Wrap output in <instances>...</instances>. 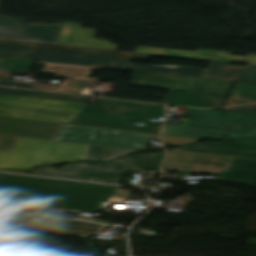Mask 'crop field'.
I'll return each instance as SVG.
<instances>
[{
    "instance_id": "8a807250",
    "label": "crop field",
    "mask_w": 256,
    "mask_h": 256,
    "mask_svg": "<svg viewBox=\"0 0 256 256\" xmlns=\"http://www.w3.org/2000/svg\"><path fill=\"white\" fill-rule=\"evenodd\" d=\"M152 56L174 57L154 54L131 53L93 48L51 45L24 41L0 39V57L42 60L92 66H104L107 61H119L130 64L131 60H151ZM210 62L211 60L174 57ZM120 69L155 72L161 74L183 75L203 78L207 69H198L177 65H129Z\"/></svg>"
},
{
    "instance_id": "ac0d7876",
    "label": "crop field",
    "mask_w": 256,
    "mask_h": 256,
    "mask_svg": "<svg viewBox=\"0 0 256 256\" xmlns=\"http://www.w3.org/2000/svg\"><path fill=\"white\" fill-rule=\"evenodd\" d=\"M114 187L1 174L0 193L7 201L98 212Z\"/></svg>"
},
{
    "instance_id": "34b2d1b8",
    "label": "crop field",
    "mask_w": 256,
    "mask_h": 256,
    "mask_svg": "<svg viewBox=\"0 0 256 256\" xmlns=\"http://www.w3.org/2000/svg\"><path fill=\"white\" fill-rule=\"evenodd\" d=\"M164 115V108L151 104L100 99L98 105L87 104L70 124L105 127L159 135L161 127L130 125Z\"/></svg>"
},
{
    "instance_id": "412701ff",
    "label": "crop field",
    "mask_w": 256,
    "mask_h": 256,
    "mask_svg": "<svg viewBox=\"0 0 256 256\" xmlns=\"http://www.w3.org/2000/svg\"><path fill=\"white\" fill-rule=\"evenodd\" d=\"M164 168L218 174L222 182L256 187V160L168 150Z\"/></svg>"
},
{
    "instance_id": "f4fd0767",
    "label": "crop field",
    "mask_w": 256,
    "mask_h": 256,
    "mask_svg": "<svg viewBox=\"0 0 256 256\" xmlns=\"http://www.w3.org/2000/svg\"><path fill=\"white\" fill-rule=\"evenodd\" d=\"M87 146L19 137L11 153L0 152V168L30 170L35 165L84 161Z\"/></svg>"
},
{
    "instance_id": "dd49c442",
    "label": "crop field",
    "mask_w": 256,
    "mask_h": 256,
    "mask_svg": "<svg viewBox=\"0 0 256 256\" xmlns=\"http://www.w3.org/2000/svg\"><path fill=\"white\" fill-rule=\"evenodd\" d=\"M164 155V151L153 154H141L124 158L119 163L110 164L80 162L68 164L61 169L51 166L37 167L29 174L118 184L122 171L137 170L135 169L136 167L140 171L158 169Z\"/></svg>"
},
{
    "instance_id": "e52e79f7",
    "label": "crop field",
    "mask_w": 256,
    "mask_h": 256,
    "mask_svg": "<svg viewBox=\"0 0 256 256\" xmlns=\"http://www.w3.org/2000/svg\"><path fill=\"white\" fill-rule=\"evenodd\" d=\"M86 104L0 94V115L69 124Z\"/></svg>"
},
{
    "instance_id": "d8731c3e",
    "label": "crop field",
    "mask_w": 256,
    "mask_h": 256,
    "mask_svg": "<svg viewBox=\"0 0 256 256\" xmlns=\"http://www.w3.org/2000/svg\"><path fill=\"white\" fill-rule=\"evenodd\" d=\"M150 137L149 134L64 124L55 140L147 151Z\"/></svg>"
},
{
    "instance_id": "5a996713",
    "label": "crop field",
    "mask_w": 256,
    "mask_h": 256,
    "mask_svg": "<svg viewBox=\"0 0 256 256\" xmlns=\"http://www.w3.org/2000/svg\"><path fill=\"white\" fill-rule=\"evenodd\" d=\"M232 83L134 71L129 85L226 96Z\"/></svg>"
},
{
    "instance_id": "3316defc",
    "label": "crop field",
    "mask_w": 256,
    "mask_h": 256,
    "mask_svg": "<svg viewBox=\"0 0 256 256\" xmlns=\"http://www.w3.org/2000/svg\"><path fill=\"white\" fill-rule=\"evenodd\" d=\"M190 114V119H180V126L165 124L163 135L218 140L225 138L227 129L222 111L190 108Z\"/></svg>"
},
{
    "instance_id": "28ad6ade",
    "label": "crop field",
    "mask_w": 256,
    "mask_h": 256,
    "mask_svg": "<svg viewBox=\"0 0 256 256\" xmlns=\"http://www.w3.org/2000/svg\"><path fill=\"white\" fill-rule=\"evenodd\" d=\"M63 124L0 116V151L11 152L19 136L54 140Z\"/></svg>"
},
{
    "instance_id": "d1516ede",
    "label": "crop field",
    "mask_w": 256,
    "mask_h": 256,
    "mask_svg": "<svg viewBox=\"0 0 256 256\" xmlns=\"http://www.w3.org/2000/svg\"><path fill=\"white\" fill-rule=\"evenodd\" d=\"M0 226L42 232L53 230L70 233L71 235L85 236L99 231L102 225L18 213L16 217L0 219Z\"/></svg>"
},
{
    "instance_id": "22f410ed",
    "label": "crop field",
    "mask_w": 256,
    "mask_h": 256,
    "mask_svg": "<svg viewBox=\"0 0 256 256\" xmlns=\"http://www.w3.org/2000/svg\"><path fill=\"white\" fill-rule=\"evenodd\" d=\"M25 19L0 16V38L56 44L62 25H25Z\"/></svg>"
},
{
    "instance_id": "cbeb9de0",
    "label": "crop field",
    "mask_w": 256,
    "mask_h": 256,
    "mask_svg": "<svg viewBox=\"0 0 256 256\" xmlns=\"http://www.w3.org/2000/svg\"><path fill=\"white\" fill-rule=\"evenodd\" d=\"M82 24L64 22L57 44L117 50L119 45L95 38L97 30L80 29Z\"/></svg>"
},
{
    "instance_id": "5142ce71",
    "label": "crop field",
    "mask_w": 256,
    "mask_h": 256,
    "mask_svg": "<svg viewBox=\"0 0 256 256\" xmlns=\"http://www.w3.org/2000/svg\"><path fill=\"white\" fill-rule=\"evenodd\" d=\"M231 62L212 60L204 78L217 80H241L256 83V65H230Z\"/></svg>"
},
{
    "instance_id": "d9b57169",
    "label": "crop field",
    "mask_w": 256,
    "mask_h": 256,
    "mask_svg": "<svg viewBox=\"0 0 256 256\" xmlns=\"http://www.w3.org/2000/svg\"><path fill=\"white\" fill-rule=\"evenodd\" d=\"M175 150L256 159V146L225 142L200 143L176 148Z\"/></svg>"
},
{
    "instance_id": "733c2abd",
    "label": "crop field",
    "mask_w": 256,
    "mask_h": 256,
    "mask_svg": "<svg viewBox=\"0 0 256 256\" xmlns=\"http://www.w3.org/2000/svg\"><path fill=\"white\" fill-rule=\"evenodd\" d=\"M135 52L185 56V57H195V58H205V59H217V60H227V61L256 64V54H250L248 57H239V56H230L232 53H235V52H228V51H212V50L197 49L196 52H191V51L147 48V47L138 46Z\"/></svg>"
},
{
    "instance_id": "4a817a6b",
    "label": "crop field",
    "mask_w": 256,
    "mask_h": 256,
    "mask_svg": "<svg viewBox=\"0 0 256 256\" xmlns=\"http://www.w3.org/2000/svg\"><path fill=\"white\" fill-rule=\"evenodd\" d=\"M226 97L169 91L163 103L200 108L222 106Z\"/></svg>"
},
{
    "instance_id": "bc2a9ffb",
    "label": "crop field",
    "mask_w": 256,
    "mask_h": 256,
    "mask_svg": "<svg viewBox=\"0 0 256 256\" xmlns=\"http://www.w3.org/2000/svg\"><path fill=\"white\" fill-rule=\"evenodd\" d=\"M229 133L226 140L256 136V115L225 112Z\"/></svg>"
},
{
    "instance_id": "214f88e0",
    "label": "crop field",
    "mask_w": 256,
    "mask_h": 256,
    "mask_svg": "<svg viewBox=\"0 0 256 256\" xmlns=\"http://www.w3.org/2000/svg\"><path fill=\"white\" fill-rule=\"evenodd\" d=\"M133 152L141 151L89 145L85 160L107 162L123 156H127Z\"/></svg>"
},
{
    "instance_id": "92a150f3",
    "label": "crop field",
    "mask_w": 256,
    "mask_h": 256,
    "mask_svg": "<svg viewBox=\"0 0 256 256\" xmlns=\"http://www.w3.org/2000/svg\"><path fill=\"white\" fill-rule=\"evenodd\" d=\"M3 209L16 211V212H24V213H32V214H40V215H48V216H56V217H62L65 211L76 212V213L80 212V211H70V210H63V209H57V208L10 203V202H7L6 205L3 207Z\"/></svg>"
},
{
    "instance_id": "dafd665d",
    "label": "crop field",
    "mask_w": 256,
    "mask_h": 256,
    "mask_svg": "<svg viewBox=\"0 0 256 256\" xmlns=\"http://www.w3.org/2000/svg\"><path fill=\"white\" fill-rule=\"evenodd\" d=\"M38 63L47 64L43 70V73L45 74H61V75L83 77V76H88L90 74L91 69L101 70L98 68H89V67L47 63V62H38Z\"/></svg>"
},
{
    "instance_id": "00972430",
    "label": "crop field",
    "mask_w": 256,
    "mask_h": 256,
    "mask_svg": "<svg viewBox=\"0 0 256 256\" xmlns=\"http://www.w3.org/2000/svg\"><path fill=\"white\" fill-rule=\"evenodd\" d=\"M0 93L20 95V96H29V97H38V98H47V99H56V100H64V101H73V102H82V103H87V101L89 100V98H86V97L59 95V94L24 91V90H15V89H7V88H0Z\"/></svg>"
},
{
    "instance_id": "a9b5d70f",
    "label": "crop field",
    "mask_w": 256,
    "mask_h": 256,
    "mask_svg": "<svg viewBox=\"0 0 256 256\" xmlns=\"http://www.w3.org/2000/svg\"><path fill=\"white\" fill-rule=\"evenodd\" d=\"M35 61L0 58V70L29 73Z\"/></svg>"
},
{
    "instance_id": "4177f3b9",
    "label": "crop field",
    "mask_w": 256,
    "mask_h": 256,
    "mask_svg": "<svg viewBox=\"0 0 256 256\" xmlns=\"http://www.w3.org/2000/svg\"><path fill=\"white\" fill-rule=\"evenodd\" d=\"M229 96L256 99V84L236 82Z\"/></svg>"
},
{
    "instance_id": "730fd06b",
    "label": "crop field",
    "mask_w": 256,
    "mask_h": 256,
    "mask_svg": "<svg viewBox=\"0 0 256 256\" xmlns=\"http://www.w3.org/2000/svg\"><path fill=\"white\" fill-rule=\"evenodd\" d=\"M78 82L79 80L65 79L53 91L72 93V91L74 90V87L72 86H76Z\"/></svg>"
},
{
    "instance_id": "eef30255",
    "label": "crop field",
    "mask_w": 256,
    "mask_h": 256,
    "mask_svg": "<svg viewBox=\"0 0 256 256\" xmlns=\"http://www.w3.org/2000/svg\"><path fill=\"white\" fill-rule=\"evenodd\" d=\"M16 87L52 91L56 86L20 82Z\"/></svg>"
},
{
    "instance_id": "ae1a2a85",
    "label": "crop field",
    "mask_w": 256,
    "mask_h": 256,
    "mask_svg": "<svg viewBox=\"0 0 256 256\" xmlns=\"http://www.w3.org/2000/svg\"><path fill=\"white\" fill-rule=\"evenodd\" d=\"M224 109H225V111H230V112L256 114V104L236 106V107H228V108H224Z\"/></svg>"
},
{
    "instance_id": "d3111659",
    "label": "crop field",
    "mask_w": 256,
    "mask_h": 256,
    "mask_svg": "<svg viewBox=\"0 0 256 256\" xmlns=\"http://www.w3.org/2000/svg\"><path fill=\"white\" fill-rule=\"evenodd\" d=\"M163 141L166 142V143L182 145V144H185V143L197 142V141H200V140L163 136Z\"/></svg>"
},
{
    "instance_id": "750c4746",
    "label": "crop field",
    "mask_w": 256,
    "mask_h": 256,
    "mask_svg": "<svg viewBox=\"0 0 256 256\" xmlns=\"http://www.w3.org/2000/svg\"><path fill=\"white\" fill-rule=\"evenodd\" d=\"M255 102H256V100L228 97L224 106L236 105V104H246V103H255Z\"/></svg>"
},
{
    "instance_id": "bd1437ed",
    "label": "crop field",
    "mask_w": 256,
    "mask_h": 256,
    "mask_svg": "<svg viewBox=\"0 0 256 256\" xmlns=\"http://www.w3.org/2000/svg\"><path fill=\"white\" fill-rule=\"evenodd\" d=\"M12 73L0 72V85L14 86L16 82L9 81Z\"/></svg>"
},
{
    "instance_id": "1d83c4d3",
    "label": "crop field",
    "mask_w": 256,
    "mask_h": 256,
    "mask_svg": "<svg viewBox=\"0 0 256 256\" xmlns=\"http://www.w3.org/2000/svg\"><path fill=\"white\" fill-rule=\"evenodd\" d=\"M234 143L256 145V138L255 139L237 140V141H234Z\"/></svg>"
},
{
    "instance_id": "120bbe31",
    "label": "crop field",
    "mask_w": 256,
    "mask_h": 256,
    "mask_svg": "<svg viewBox=\"0 0 256 256\" xmlns=\"http://www.w3.org/2000/svg\"><path fill=\"white\" fill-rule=\"evenodd\" d=\"M84 220H88V221H94V222H99V223H105V224H111V225H114V223H113V222L102 221V220H97V219L84 218Z\"/></svg>"
},
{
    "instance_id": "d32e631a",
    "label": "crop field",
    "mask_w": 256,
    "mask_h": 256,
    "mask_svg": "<svg viewBox=\"0 0 256 256\" xmlns=\"http://www.w3.org/2000/svg\"><path fill=\"white\" fill-rule=\"evenodd\" d=\"M247 244L256 245V239L255 238H249Z\"/></svg>"
},
{
    "instance_id": "5866460e",
    "label": "crop field",
    "mask_w": 256,
    "mask_h": 256,
    "mask_svg": "<svg viewBox=\"0 0 256 256\" xmlns=\"http://www.w3.org/2000/svg\"><path fill=\"white\" fill-rule=\"evenodd\" d=\"M153 140H159V136H156V135H152V138Z\"/></svg>"
},
{
    "instance_id": "028f5c9d",
    "label": "crop field",
    "mask_w": 256,
    "mask_h": 256,
    "mask_svg": "<svg viewBox=\"0 0 256 256\" xmlns=\"http://www.w3.org/2000/svg\"><path fill=\"white\" fill-rule=\"evenodd\" d=\"M50 233H58V234H66V233H59V232H53V231H49ZM69 235V234H66Z\"/></svg>"
},
{
    "instance_id": "e1f06a70",
    "label": "crop field",
    "mask_w": 256,
    "mask_h": 256,
    "mask_svg": "<svg viewBox=\"0 0 256 256\" xmlns=\"http://www.w3.org/2000/svg\"><path fill=\"white\" fill-rule=\"evenodd\" d=\"M0 201H3V197L0 196Z\"/></svg>"
},
{
    "instance_id": "0bd39190",
    "label": "crop field",
    "mask_w": 256,
    "mask_h": 256,
    "mask_svg": "<svg viewBox=\"0 0 256 256\" xmlns=\"http://www.w3.org/2000/svg\"><path fill=\"white\" fill-rule=\"evenodd\" d=\"M3 202H0V205L2 204Z\"/></svg>"
},
{
    "instance_id": "b80d0937",
    "label": "crop field",
    "mask_w": 256,
    "mask_h": 256,
    "mask_svg": "<svg viewBox=\"0 0 256 256\" xmlns=\"http://www.w3.org/2000/svg\"><path fill=\"white\" fill-rule=\"evenodd\" d=\"M0 2H1V0H0Z\"/></svg>"
}]
</instances>
